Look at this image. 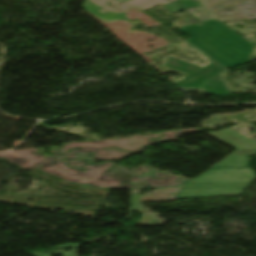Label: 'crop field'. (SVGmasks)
Returning a JSON list of instances; mask_svg holds the SVG:
<instances>
[{"mask_svg":"<svg viewBox=\"0 0 256 256\" xmlns=\"http://www.w3.org/2000/svg\"><path fill=\"white\" fill-rule=\"evenodd\" d=\"M112 2L116 6L110 7L106 5L108 2ZM169 3L168 0H131L129 2L118 3L114 0H86L82 5V8L90 11L100 19L105 22L124 19L125 21H131L125 16V13L136 7L139 10L143 11L150 7L156 6L158 4L163 5ZM105 9L108 12L102 14L98 12L101 9Z\"/></svg>","mask_w":256,"mask_h":256,"instance_id":"4","label":"crop field"},{"mask_svg":"<svg viewBox=\"0 0 256 256\" xmlns=\"http://www.w3.org/2000/svg\"><path fill=\"white\" fill-rule=\"evenodd\" d=\"M187 40L203 53L229 69L249 62L253 44L216 19L202 21L183 28Z\"/></svg>","mask_w":256,"mask_h":256,"instance_id":"2","label":"crop field"},{"mask_svg":"<svg viewBox=\"0 0 256 256\" xmlns=\"http://www.w3.org/2000/svg\"><path fill=\"white\" fill-rule=\"evenodd\" d=\"M196 0H180L177 2L169 3L166 5H163V7L166 8L170 13H175L179 11H183L189 7H195V6H200Z\"/></svg>","mask_w":256,"mask_h":256,"instance_id":"5","label":"crop field"},{"mask_svg":"<svg viewBox=\"0 0 256 256\" xmlns=\"http://www.w3.org/2000/svg\"><path fill=\"white\" fill-rule=\"evenodd\" d=\"M169 1L173 2V1H177V0H169Z\"/></svg>","mask_w":256,"mask_h":256,"instance_id":"6","label":"crop field"},{"mask_svg":"<svg viewBox=\"0 0 256 256\" xmlns=\"http://www.w3.org/2000/svg\"><path fill=\"white\" fill-rule=\"evenodd\" d=\"M236 149L204 174L186 182L177 198L240 194L256 176L248 157L256 154V141L230 129L206 133Z\"/></svg>","mask_w":256,"mask_h":256,"instance_id":"1","label":"crop field"},{"mask_svg":"<svg viewBox=\"0 0 256 256\" xmlns=\"http://www.w3.org/2000/svg\"><path fill=\"white\" fill-rule=\"evenodd\" d=\"M167 66L191 74L183 80L175 83L181 87L205 88L209 95L231 94V91L219 75L227 69L215 61L202 68L185 61L169 57Z\"/></svg>","mask_w":256,"mask_h":256,"instance_id":"3","label":"crop field"}]
</instances>
